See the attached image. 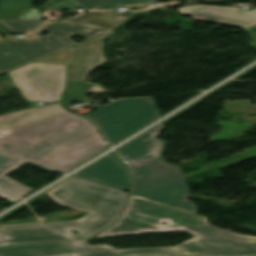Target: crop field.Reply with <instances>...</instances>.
Instances as JSON below:
<instances>
[{
	"label": "crop field",
	"instance_id": "8a807250",
	"mask_svg": "<svg viewBox=\"0 0 256 256\" xmlns=\"http://www.w3.org/2000/svg\"><path fill=\"white\" fill-rule=\"evenodd\" d=\"M167 231H185L194 237L176 247L160 248L116 249L90 246L87 240L5 246L0 247V256H256V237L218 229L205 216L136 195L129 196L116 224L90 239Z\"/></svg>",
	"mask_w": 256,
	"mask_h": 256
},
{
	"label": "crop field",
	"instance_id": "ac0d7876",
	"mask_svg": "<svg viewBox=\"0 0 256 256\" xmlns=\"http://www.w3.org/2000/svg\"><path fill=\"white\" fill-rule=\"evenodd\" d=\"M106 147L92 122L61 102L0 116V153L64 173Z\"/></svg>",
	"mask_w": 256,
	"mask_h": 256
},
{
	"label": "crop field",
	"instance_id": "34b2d1b8",
	"mask_svg": "<svg viewBox=\"0 0 256 256\" xmlns=\"http://www.w3.org/2000/svg\"><path fill=\"white\" fill-rule=\"evenodd\" d=\"M45 194L59 205L89 213L77 221L3 226L0 245L88 238L115 222L127 196L126 192L74 176ZM70 229L80 234L74 235Z\"/></svg>",
	"mask_w": 256,
	"mask_h": 256
},
{
	"label": "crop field",
	"instance_id": "412701ff",
	"mask_svg": "<svg viewBox=\"0 0 256 256\" xmlns=\"http://www.w3.org/2000/svg\"><path fill=\"white\" fill-rule=\"evenodd\" d=\"M163 123L115 152L129 167L130 193L197 213L179 165L166 163L165 141H158Z\"/></svg>",
	"mask_w": 256,
	"mask_h": 256
},
{
	"label": "crop field",
	"instance_id": "f4fd0767",
	"mask_svg": "<svg viewBox=\"0 0 256 256\" xmlns=\"http://www.w3.org/2000/svg\"><path fill=\"white\" fill-rule=\"evenodd\" d=\"M42 31L50 32L48 36H41ZM106 32L60 22H47L29 38L0 43V74L78 44L70 39L71 36H84L88 40Z\"/></svg>",
	"mask_w": 256,
	"mask_h": 256
},
{
	"label": "crop field",
	"instance_id": "dd49c442",
	"mask_svg": "<svg viewBox=\"0 0 256 256\" xmlns=\"http://www.w3.org/2000/svg\"><path fill=\"white\" fill-rule=\"evenodd\" d=\"M111 145L160 117L153 99L120 100L86 116Z\"/></svg>",
	"mask_w": 256,
	"mask_h": 256
},
{
	"label": "crop field",
	"instance_id": "e52e79f7",
	"mask_svg": "<svg viewBox=\"0 0 256 256\" xmlns=\"http://www.w3.org/2000/svg\"><path fill=\"white\" fill-rule=\"evenodd\" d=\"M68 66L31 63L5 73L24 100L50 103L62 98Z\"/></svg>",
	"mask_w": 256,
	"mask_h": 256
},
{
	"label": "crop field",
	"instance_id": "d8731c3e",
	"mask_svg": "<svg viewBox=\"0 0 256 256\" xmlns=\"http://www.w3.org/2000/svg\"><path fill=\"white\" fill-rule=\"evenodd\" d=\"M181 14L192 16L194 20L246 28L256 24V10L249 12L236 7L184 6Z\"/></svg>",
	"mask_w": 256,
	"mask_h": 256
},
{
	"label": "crop field",
	"instance_id": "5a996713",
	"mask_svg": "<svg viewBox=\"0 0 256 256\" xmlns=\"http://www.w3.org/2000/svg\"><path fill=\"white\" fill-rule=\"evenodd\" d=\"M74 176L127 192V170L112 153L93 163Z\"/></svg>",
	"mask_w": 256,
	"mask_h": 256
},
{
	"label": "crop field",
	"instance_id": "3316defc",
	"mask_svg": "<svg viewBox=\"0 0 256 256\" xmlns=\"http://www.w3.org/2000/svg\"><path fill=\"white\" fill-rule=\"evenodd\" d=\"M114 33L113 31L95 37L76 45L77 58L68 69V80H83L96 66L103 64L102 38Z\"/></svg>",
	"mask_w": 256,
	"mask_h": 256
},
{
	"label": "crop field",
	"instance_id": "28ad6ade",
	"mask_svg": "<svg viewBox=\"0 0 256 256\" xmlns=\"http://www.w3.org/2000/svg\"><path fill=\"white\" fill-rule=\"evenodd\" d=\"M24 164L0 155V196L15 202L32 190L5 176Z\"/></svg>",
	"mask_w": 256,
	"mask_h": 256
},
{
	"label": "crop field",
	"instance_id": "d1516ede",
	"mask_svg": "<svg viewBox=\"0 0 256 256\" xmlns=\"http://www.w3.org/2000/svg\"><path fill=\"white\" fill-rule=\"evenodd\" d=\"M128 18V16L117 15L115 12H87L84 15L66 19L60 22L110 31L114 30L115 27L120 25Z\"/></svg>",
	"mask_w": 256,
	"mask_h": 256
},
{
	"label": "crop field",
	"instance_id": "22f410ed",
	"mask_svg": "<svg viewBox=\"0 0 256 256\" xmlns=\"http://www.w3.org/2000/svg\"><path fill=\"white\" fill-rule=\"evenodd\" d=\"M83 10H114L118 7H138L149 4L155 0H69Z\"/></svg>",
	"mask_w": 256,
	"mask_h": 256
},
{
	"label": "crop field",
	"instance_id": "cbeb9de0",
	"mask_svg": "<svg viewBox=\"0 0 256 256\" xmlns=\"http://www.w3.org/2000/svg\"><path fill=\"white\" fill-rule=\"evenodd\" d=\"M33 0H0V19H16ZM61 0H51L57 3Z\"/></svg>",
	"mask_w": 256,
	"mask_h": 256
},
{
	"label": "crop field",
	"instance_id": "5142ce71",
	"mask_svg": "<svg viewBox=\"0 0 256 256\" xmlns=\"http://www.w3.org/2000/svg\"><path fill=\"white\" fill-rule=\"evenodd\" d=\"M44 20H0L10 32H26L31 33L37 30Z\"/></svg>",
	"mask_w": 256,
	"mask_h": 256
},
{
	"label": "crop field",
	"instance_id": "d9b57169",
	"mask_svg": "<svg viewBox=\"0 0 256 256\" xmlns=\"http://www.w3.org/2000/svg\"><path fill=\"white\" fill-rule=\"evenodd\" d=\"M74 49H73V47H71V48L64 50L62 52H59L57 54L54 53L55 55H52V56L49 55L50 57L44 58V59L36 61V62L70 65L75 56Z\"/></svg>",
	"mask_w": 256,
	"mask_h": 256
},
{
	"label": "crop field",
	"instance_id": "733c2abd",
	"mask_svg": "<svg viewBox=\"0 0 256 256\" xmlns=\"http://www.w3.org/2000/svg\"><path fill=\"white\" fill-rule=\"evenodd\" d=\"M0 34L6 35L7 31L0 25Z\"/></svg>",
	"mask_w": 256,
	"mask_h": 256
}]
</instances>
